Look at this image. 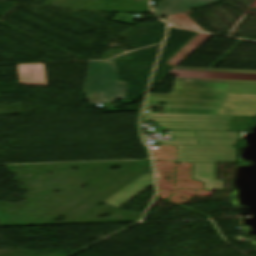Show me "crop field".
Wrapping results in <instances>:
<instances>
[{
	"label": "crop field",
	"instance_id": "obj_1",
	"mask_svg": "<svg viewBox=\"0 0 256 256\" xmlns=\"http://www.w3.org/2000/svg\"><path fill=\"white\" fill-rule=\"evenodd\" d=\"M173 142L156 145H177L180 162L236 163L235 144L240 133L168 131Z\"/></svg>",
	"mask_w": 256,
	"mask_h": 256
},
{
	"label": "crop field",
	"instance_id": "obj_2",
	"mask_svg": "<svg viewBox=\"0 0 256 256\" xmlns=\"http://www.w3.org/2000/svg\"><path fill=\"white\" fill-rule=\"evenodd\" d=\"M153 107L146 105V121L158 122L165 129L180 130H229L247 131L254 117L191 115V114H152ZM165 108V107H159Z\"/></svg>",
	"mask_w": 256,
	"mask_h": 256
},
{
	"label": "crop field",
	"instance_id": "obj_3",
	"mask_svg": "<svg viewBox=\"0 0 256 256\" xmlns=\"http://www.w3.org/2000/svg\"><path fill=\"white\" fill-rule=\"evenodd\" d=\"M127 83L118 80L114 61L89 62L84 93L90 104L125 99Z\"/></svg>",
	"mask_w": 256,
	"mask_h": 256
},
{
	"label": "crop field",
	"instance_id": "obj_4",
	"mask_svg": "<svg viewBox=\"0 0 256 256\" xmlns=\"http://www.w3.org/2000/svg\"><path fill=\"white\" fill-rule=\"evenodd\" d=\"M175 81L256 84V71L175 67Z\"/></svg>",
	"mask_w": 256,
	"mask_h": 256
},
{
	"label": "crop field",
	"instance_id": "obj_5",
	"mask_svg": "<svg viewBox=\"0 0 256 256\" xmlns=\"http://www.w3.org/2000/svg\"><path fill=\"white\" fill-rule=\"evenodd\" d=\"M227 85L175 82L170 95L149 94L148 99L223 102Z\"/></svg>",
	"mask_w": 256,
	"mask_h": 256
},
{
	"label": "crop field",
	"instance_id": "obj_6",
	"mask_svg": "<svg viewBox=\"0 0 256 256\" xmlns=\"http://www.w3.org/2000/svg\"><path fill=\"white\" fill-rule=\"evenodd\" d=\"M219 3L218 0H165L154 12L159 18Z\"/></svg>",
	"mask_w": 256,
	"mask_h": 256
},
{
	"label": "crop field",
	"instance_id": "obj_7",
	"mask_svg": "<svg viewBox=\"0 0 256 256\" xmlns=\"http://www.w3.org/2000/svg\"><path fill=\"white\" fill-rule=\"evenodd\" d=\"M150 185H154L152 174L144 175L126 188L122 189L121 191L104 201L103 203L120 207L133 196H135Z\"/></svg>",
	"mask_w": 256,
	"mask_h": 256
},
{
	"label": "crop field",
	"instance_id": "obj_8",
	"mask_svg": "<svg viewBox=\"0 0 256 256\" xmlns=\"http://www.w3.org/2000/svg\"><path fill=\"white\" fill-rule=\"evenodd\" d=\"M216 164L194 163L192 179L206 183L205 190H223V182L215 180Z\"/></svg>",
	"mask_w": 256,
	"mask_h": 256
},
{
	"label": "crop field",
	"instance_id": "obj_9",
	"mask_svg": "<svg viewBox=\"0 0 256 256\" xmlns=\"http://www.w3.org/2000/svg\"><path fill=\"white\" fill-rule=\"evenodd\" d=\"M224 102L256 103V85L229 84Z\"/></svg>",
	"mask_w": 256,
	"mask_h": 256
},
{
	"label": "crop field",
	"instance_id": "obj_10",
	"mask_svg": "<svg viewBox=\"0 0 256 256\" xmlns=\"http://www.w3.org/2000/svg\"><path fill=\"white\" fill-rule=\"evenodd\" d=\"M20 84L47 86L43 65L17 66Z\"/></svg>",
	"mask_w": 256,
	"mask_h": 256
},
{
	"label": "crop field",
	"instance_id": "obj_11",
	"mask_svg": "<svg viewBox=\"0 0 256 256\" xmlns=\"http://www.w3.org/2000/svg\"><path fill=\"white\" fill-rule=\"evenodd\" d=\"M218 114L256 116V104L222 103Z\"/></svg>",
	"mask_w": 256,
	"mask_h": 256
},
{
	"label": "crop field",
	"instance_id": "obj_12",
	"mask_svg": "<svg viewBox=\"0 0 256 256\" xmlns=\"http://www.w3.org/2000/svg\"><path fill=\"white\" fill-rule=\"evenodd\" d=\"M147 103L166 104L168 106L206 107V108H219L221 104V103H209V102H184V101H160V100H148Z\"/></svg>",
	"mask_w": 256,
	"mask_h": 256
},
{
	"label": "crop field",
	"instance_id": "obj_13",
	"mask_svg": "<svg viewBox=\"0 0 256 256\" xmlns=\"http://www.w3.org/2000/svg\"><path fill=\"white\" fill-rule=\"evenodd\" d=\"M165 113L217 114L218 109H177L166 108Z\"/></svg>",
	"mask_w": 256,
	"mask_h": 256
}]
</instances>
